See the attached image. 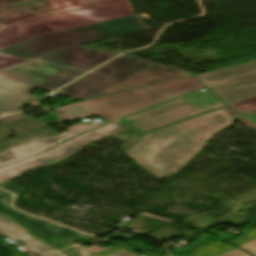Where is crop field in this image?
<instances>
[{
    "label": "crop field",
    "instance_id": "d8731c3e",
    "mask_svg": "<svg viewBox=\"0 0 256 256\" xmlns=\"http://www.w3.org/2000/svg\"><path fill=\"white\" fill-rule=\"evenodd\" d=\"M121 129L123 128L120 125L113 122L91 132L77 136L28 160L0 168V178L52 162L92 140L103 137Z\"/></svg>",
    "mask_w": 256,
    "mask_h": 256
},
{
    "label": "crop field",
    "instance_id": "bd1437ed",
    "mask_svg": "<svg viewBox=\"0 0 256 256\" xmlns=\"http://www.w3.org/2000/svg\"><path fill=\"white\" fill-rule=\"evenodd\" d=\"M232 251H234V252H236V253H238V254H240L242 256H251V255H249V254H247V253H245V252H243V251H241V250H239L237 248L233 249Z\"/></svg>",
    "mask_w": 256,
    "mask_h": 256
},
{
    "label": "crop field",
    "instance_id": "214f88e0",
    "mask_svg": "<svg viewBox=\"0 0 256 256\" xmlns=\"http://www.w3.org/2000/svg\"><path fill=\"white\" fill-rule=\"evenodd\" d=\"M15 222L28 234H32L31 236H33L34 238H36L37 240H39L40 242H42L44 245H46L47 247H49L50 249H52L53 251H58L60 250L56 245H54L53 243L49 242L46 238L41 237L40 235H37L35 233H33L30 229L26 228L24 225H22L20 222H18L17 220H15Z\"/></svg>",
    "mask_w": 256,
    "mask_h": 256
},
{
    "label": "crop field",
    "instance_id": "22f410ed",
    "mask_svg": "<svg viewBox=\"0 0 256 256\" xmlns=\"http://www.w3.org/2000/svg\"><path fill=\"white\" fill-rule=\"evenodd\" d=\"M234 247L226 245L220 241H208L202 244L196 251L191 254L181 256H219Z\"/></svg>",
    "mask_w": 256,
    "mask_h": 256
},
{
    "label": "crop field",
    "instance_id": "28ad6ade",
    "mask_svg": "<svg viewBox=\"0 0 256 256\" xmlns=\"http://www.w3.org/2000/svg\"><path fill=\"white\" fill-rule=\"evenodd\" d=\"M13 220L10 215L0 212V234L12 239H20L25 242L28 250L41 256L54 253L42 243L27 235Z\"/></svg>",
    "mask_w": 256,
    "mask_h": 256
},
{
    "label": "crop field",
    "instance_id": "1d83c4d3",
    "mask_svg": "<svg viewBox=\"0 0 256 256\" xmlns=\"http://www.w3.org/2000/svg\"><path fill=\"white\" fill-rule=\"evenodd\" d=\"M67 240L69 241V244H68V245H66V241H67ZM72 241H73V240H70V239H64V241H63L62 243H63L64 247L66 248V247H68V246L75 245V244L72 243Z\"/></svg>",
    "mask_w": 256,
    "mask_h": 256
},
{
    "label": "crop field",
    "instance_id": "cbeb9de0",
    "mask_svg": "<svg viewBox=\"0 0 256 256\" xmlns=\"http://www.w3.org/2000/svg\"><path fill=\"white\" fill-rule=\"evenodd\" d=\"M2 199H3V196L0 195V209L1 210H5V211L11 212L18 219H20L22 222L32 226L37 232H39V233H41V234H43L45 236L74 235V236H79V237H84V238L92 239V237L84 236V235H81V234H78V233H72V232H66V231H45V230L41 229L40 227L36 226L35 224L31 223L30 221H28L27 219H25L24 217H22L18 213H16L13 210H11L9 207H7L5 204L2 203Z\"/></svg>",
    "mask_w": 256,
    "mask_h": 256
},
{
    "label": "crop field",
    "instance_id": "8a807250",
    "mask_svg": "<svg viewBox=\"0 0 256 256\" xmlns=\"http://www.w3.org/2000/svg\"><path fill=\"white\" fill-rule=\"evenodd\" d=\"M114 56L75 46L0 71V115L20 111L23 104L32 106L40 100L28 93L34 87L54 90Z\"/></svg>",
    "mask_w": 256,
    "mask_h": 256
},
{
    "label": "crop field",
    "instance_id": "4a817a6b",
    "mask_svg": "<svg viewBox=\"0 0 256 256\" xmlns=\"http://www.w3.org/2000/svg\"><path fill=\"white\" fill-rule=\"evenodd\" d=\"M30 59L0 53V70Z\"/></svg>",
    "mask_w": 256,
    "mask_h": 256
},
{
    "label": "crop field",
    "instance_id": "e52e79f7",
    "mask_svg": "<svg viewBox=\"0 0 256 256\" xmlns=\"http://www.w3.org/2000/svg\"><path fill=\"white\" fill-rule=\"evenodd\" d=\"M226 106L209 90L197 91L121 119L143 134L170 123Z\"/></svg>",
    "mask_w": 256,
    "mask_h": 256
},
{
    "label": "crop field",
    "instance_id": "e1f06a70",
    "mask_svg": "<svg viewBox=\"0 0 256 256\" xmlns=\"http://www.w3.org/2000/svg\"><path fill=\"white\" fill-rule=\"evenodd\" d=\"M51 256H61V255H59V254H57V253H56V254H54V255H51Z\"/></svg>",
    "mask_w": 256,
    "mask_h": 256
},
{
    "label": "crop field",
    "instance_id": "5142ce71",
    "mask_svg": "<svg viewBox=\"0 0 256 256\" xmlns=\"http://www.w3.org/2000/svg\"><path fill=\"white\" fill-rule=\"evenodd\" d=\"M0 194H3L4 195V199L11 196V194L9 193H6L4 191H1L0 190ZM4 203V202H3ZM11 209L15 210L16 212H18L19 214H21L22 216H24L25 218H27L28 220H30L31 222L35 223L36 225L40 226L41 228L45 229V230H66V231H72V232H76L74 230H71V229H68V228H65L61 225L57 226V225H54L50 222H47V221H44L42 219H39V218H36V217H33V216H30V215H27L25 213H22L12 207H10ZM79 233V232H78Z\"/></svg>",
    "mask_w": 256,
    "mask_h": 256
},
{
    "label": "crop field",
    "instance_id": "d1516ede",
    "mask_svg": "<svg viewBox=\"0 0 256 256\" xmlns=\"http://www.w3.org/2000/svg\"><path fill=\"white\" fill-rule=\"evenodd\" d=\"M256 73V61L194 76L205 86Z\"/></svg>",
    "mask_w": 256,
    "mask_h": 256
},
{
    "label": "crop field",
    "instance_id": "120bbe31",
    "mask_svg": "<svg viewBox=\"0 0 256 256\" xmlns=\"http://www.w3.org/2000/svg\"><path fill=\"white\" fill-rule=\"evenodd\" d=\"M221 256H239V255H237V254H235V253L230 251V252H228V253H226L224 255H221Z\"/></svg>",
    "mask_w": 256,
    "mask_h": 256
},
{
    "label": "crop field",
    "instance_id": "bc2a9ffb",
    "mask_svg": "<svg viewBox=\"0 0 256 256\" xmlns=\"http://www.w3.org/2000/svg\"><path fill=\"white\" fill-rule=\"evenodd\" d=\"M124 131H126V130L123 129V130H121V131H118V132H116V133L110 134V135H108V136L116 135V134H119V133L124 132ZM108 136H105V137H108ZM103 138H104V137H103ZM100 139H101V138H100ZM98 140H99V139H98ZM95 141H97V140H95ZM92 142H94V141H92ZM92 142H90V143H92ZM90 143H88V144H90ZM88 144H86V145H88ZM86 145H84V146L78 148L77 150H75V151H73V152H71V153L65 155L64 157H62V158H60V159H58V160H56V161H54V162H52V163H49V164H46V165H43V166L53 165V164H55V163H57V162H59V161L65 159L66 157H68V156H70V155H72V154L78 152L79 150H81V149H82L83 147H85ZM68 158H69V157H68ZM66 159H67V158H66ZM40 167H42V166H40ZM36 168H39V167H36ZM33 169H35V168H33ZM30 170H31V169H30ZM27 171H28V170H27ZM24 172H26V171H24ZM24 172H21V173L12 175V176H8V177H5V178H2V179H0V183H2V182H4V181H8V180L15 179V178H17V177H20V176L22 175V173H24Z\"/></svg>",
    "mask_w": 256,
    "mask_h": 256
},
{
    "label": "crop field",
    "instance_id": "92a150f3",
    "mask_svg": "<svg viewBox=\"0 0 256 256\" xmlns=\"http://www.w3.org/2000/svg\"><path fill=\"white\" fill-rule=\"evenodd\" d=\"M255 237H256V228H254L251 231L241 235L240 237L234 239L231 242H234V243H236L238 245H241V244H243V243H245V242H247V241H249V240H251V239H253ZM231 242H229V243H231Z\"/></svg>",
    "mask_w": 256,
    "mask_h": 256
},
{
    "label": "crop field",
    "instance_id": "5a996713",
    "mask_svg": "<svg viewBox=\"0 0 256 256\" xmlns=\"http://www.w3.org/2000/svg\"><path fill=\"white\" fill-rule=\"evenodd\" d=\"M227 105L256 95V74L207 87Z\"/></svg>",
    "mask_w": 256,
    "mask_h": 256
},
{
    "label": "crop field",
    "instance_id": "733c2abd",
    "mask_svg": "<svg viewBox=\"0 0 256 256\" xmlns=\"http://www.w3.org/2000/svg\"><path fill=\"white\" fill-rule=\"evenodd\" d=\"M232 108L256 114V96L233 104Z\"/></svg>",
    "mask_w": 256,
    "mask_h": 256
},
{
    "label": "crop field",
    "instance_id": "028f5c9d",
    "mask_svg": "<svg viewBox=\"0 0 256 256\" xmlns=\"http://www.w3.org/2000/svg\"><path fill=\"white\" fill-rule=\"evenodd\" d=\"M6 28V26L0 24V29Z\"/></svg>",
    "mask_w": 256,
    "mask_h": 256
},
{
    "label": "crop field",
    "instance_id": "dd49c442",
    "mask_svg": "<svg viewBox=\"0 0 256 256\" xmlns=\"http://www.w3.org/2000/svg\"><path fill=\"white\" fill-rule=\"evenodd\" d=\"M134 15L53 33L15 44L1 52L34 58L65 47L147 30Z\"/></svg>",
    "mask_w": 256,
    "mask_h": 256
},
{
    "label": "crop field",
    "instance_id": "750c4746",
    "mask_svg": "<svg viewBox=\"0 0 256 256\" xmlns=\"http://www.w3.org/2000/svg\"><path fill=\"white\" fill-rule=\"evenodd\" d=\"M71 99H73V98H70L68 101H66V102H63V103H60V104H57V105H55V106H52V107H49L50 109H52V108H56V107H59V106H63V105H66V104H70V103H72L71 101ZM71 100V101H70ZM74 100V99H73Z\"/></svg>",
    "mask_w": 256,
    "mask_h": 256
},
{
    "label": "crop field",
    "instance_id": "d3111659",
    "mask_svg": "<svg viewBox=\"0 0 256 256\" xmlns=\"http://www.w3.org/2000/svg\"><path fill=\"white\" fill-rule=\"evenodd\" d=\"M64 238H70V239H74V240H79V241H86V242H92L90 240H84V239H77V238H72V237H64ZM64 238H54V239H51L53 240L55 243H57L60 247L63 248L61 242Z\"/></svg>",
    "mask_w": 256,
    "mask_h": 256
},
{
    "label": "crop field",
    "instance_id": "d9b57169",
    "mask_svg": "<svg viewBox=\"0 0 256 256\" xmlns=\"http://www.w3.org/2000/svg\"><path fill=\"white\" fill-rule=\"evenodd\" d=\"M81 248H83V247H81L79 245H76V246L67 248L66 250L72 253V252H74L76 250H79ZM83 249H85V248H83ZM121 249H123V250H125L127 252H130V253H132V254H134L136 256H139V255L135 254L134 252H132L131 250H129L128 247H121V246H113V247L108 248V249H99V250H97L95 252H92V251H90L88 249H85V250H87V251H89V252H91V253H93V254H95L97 256H109V255H111V254H113V253H115V252H117V251H119ZM72 254H74V253H72ZM74 255H76V254H74ZM76 256H78V255H76Z\"/></svg>",
    "mask_w": 256,
    "mask_h": 256
},
{
    "label": "crop field",
    "instance_id": "5866460e",
    "mask_svg": "<svg viewBox=\"0 0 256 256\" xmlns=\"http://www.w3.org/2000/svg\"><path fill=\"white\" fill-rule=\"evenodd\" d=\"M88 249H90V250L94 251V250L98 249V247L94 246V247H92V248H88Z\"/></svg>",
    "mask_w": 256,
    "mask_h": 256
},
{
    "label": "crop field",
    "instance_id": "412701ff",
    "mask_svg": "<svg viewBox=\"0 0 256 256\" xmlns=\"http://www.w3.org/2000/svg\"><path fill=\"white\" fill-rule=\"evenodd\" d=\"M204 87L193 76L54 109L62 121L99 114L108 122Z\"/></svg>",
    "mask_w": 256,
    "mask_h": 256
},
{
    "label": "crop field",
    "instance_id": "eef30255",
    "mask_svg": "<svg viewBox=\"0 0 256 256\" xmlns=\"http://www.w3.org/2000/svg\"><path fill=\"white\" fill-rule=\"evenodd\" d=\"M0 187L5 189V190H7V191L13 192V193H16V192H18V191L23 189L21 187H18V186L14 185V184L9 183V182L0 184Z\"/></svg>",
    "mask_w": 256,
    "mask_h": 256
},
{
    "label": "crop field",
    "instance_id": "0bd39190",
    "mask_svg": "<svg viewBox=\"0 0 256 256\" xmlns=\"http://www.w3.org/2000/svg\"><path fill=\"white\" fill-rule=\"evenodd\" d=\"M66 250V249H65ZM67 252V251H66ZM67 253H69V252H67ZM70 254V253H69ZM71 256H74V255H72V254H70Z\"/></svg>",
    "mask_w": 256,
    "mask_h": 256
},
{
    "label": "crop field",
    "instance_id": "ae1a2a85",
    "mask_svg": "<svg viewBox=\"0 0 256 256\" xmlns=\"http://www.w3.org/2000/svg\"><path fill=\"white\" fill-rule=\"evenodd\" d=\"M212 231L213 230H211V232ZM213 232L215 233V232H218V231H213ZM233 237H235V235H231V234H227V233H222V232H220V234H218L217 237L212 236V235H208V239H212L213 238V239H219V240H225V241H227V240H229V239H231Z\"/></svg>",
    "mask_w": 256,
    "mask_h": 256
},
{
    "label": "crop field",
    "instance_id": "34b2d1b8",
    "mask_svg": "<svg viewBox=\"0 0 256 256\" xmlns=\"http://www.w3.org/2000/svg\"><path fill=\"white\" fill-rule=\"evenodd\" d=\"M189 75L195 74L122 55L55 93L85 100Z\"/></svg>",
    "mask_w": 256,
    "mask_h": 256
},
{
    "label": "crop field",
    "instance_id": "3316defc",
    "mask_svg": "<svg viewBox=\"0 0 256 256\" xmlns=\"http://www.w3.org/2000/svg\"><path fill=\"white\" fill-rule=\"evenodd\" d=\"M66 139L67 138L60 136L57 138L34 139L27 143L20 144L7 150L4 155L0 156V167L28 159L52 148Z\"/></svg>",
    "mask_w": 256,
    "mask_h": 256
},
{
    "label": "crop field",
    "instance_id": "dafd665d",
    "mask_svg": "<svg viewBox=\"0 0 256 256\" xmlns=\"http://www.w3.org/2000/svg\"><path fill=\"white\" fill-rule=\"evenodd\" d=\"M24 118H26V115H24L22 113L10 115V116H7V117H1L0 118V124L1 125H7V124H10L12 122L17 121L18 119H24Z\"/></svg>",
    "mask_w": 256,
    "mask_h": 256
},
{
    "label": "crop field",
    "instance_id": "730fd06b",
    "mask_svg": "<svg viewBox=\"0 0 256 256\" xmlns=\"http://www.w3.org/2000/svg\"><path fill=\"white\" fill-rule=\"evenodd\" d=\"M74 253H76V254H78V255H80V256H95V255H93V254H91V253H89V252H87V251H85V250H83V249H81V250H79V251H76V252H74ZM111 256H134V255L129 254V253H127V252L121 250V251H119V252H117V253H115V254H113V255H111Z\"/></svg>",
    "mask_w": 256,
    "mask_h": 256
},
{
    "label": "crop field",
    "instance_id": "a9b5d70f",
    "mask_svg": "<svg viewBox=\"0 0 256 256\" xmlns=\"http://www.w3.org/2000/svg\"><path fill=\"white\" fill-rule=\"evenodd\" d=\"M205 239H207V235L204 234L203 236H201L196 242L194 245H191V246H187L181 250H171L172 252H176V253H185V252H188L192 249H194L196 246H198L201 242H203Z\"/></svg>",
    "mask_w": 256,
    "mask_h": 256
},
{
    "label": "crop field",
    "instance_id": "f4fd0767",
    "mask_svg": "<svg viewBox=\"0 0 256 256\" xmlns=\"http://www.w3.org/2000/svg\"><path fill=\"white\" fill-rule=\"evenodd\" d=\"M131 14L128 1L120 0L26 21L0 30V51L40 35Z\"/></svg>",
    "mask_w": 256,
    "mask_h": 256
},
{
    "label": "crop field",
    "instance_id": "d32e631a",
    "mask_svg": "<svg viewBox=\"0 0 256 256\" xmlns=\"http://www.w3.org/2000/svg\"><path fill=\"white\" fill-rule=\"evenodd\" d=\"M59 254L63 255V256H69L66 252H64L63 250L61 252H59Z\"/></svg>",
    "mask_w": 256,
    "mask_h": 256
},
{
    "label": "crop field",
    "instance_id": "ac0d7876",
    "mask_svg": "<svg viewBox=\"0 0 256 256\" xmlns=\"http://www.w3.org/2000/svg\"><path fill=\"white\" fill-rule=\"evenodd\" d=\"M236 120L217 109L146 134L124 153L151 174L164 178L180 170L203 149L212 135Z\"/></svg>",
    "mask_w": 256,
    "mask_h": 256
},
{
    "label": "crop field",
    "instance_id": "4177f3b9",
    "mask_svg": "<svg viewBox=\"0 0 256 256\" xmlns=\"http://www.w3.org/2000/svg\"><path fill=\"white\" fill-rule=\"evenodd\" d=\"M239 247L245 249L246 251L256 256V238Z\"/></svg>",
    "mask_w": 256,
    "mask_h": 256
},
{
    "label": "crop field",
    "instance_id": "00972430",
    "mask_svg": "<svg viewBox=\"0 0 256 256\" xmlns=\"http://www.w3.org/2000/svg\"><path fill=\"white\" fill-rule=\"evenodd\" d=\"M103 125H105V124H92L88 127L82 128V129L74 131V132H71V133L66 134L64 136L69 138V137H72V136H75V135H78V134H81V133H84V132L91 131V130L96 129V128H98L100 126H103Z\"/></svg>",
    "mask_w": 256,
    "mask_h": 256
}]
</instances>
